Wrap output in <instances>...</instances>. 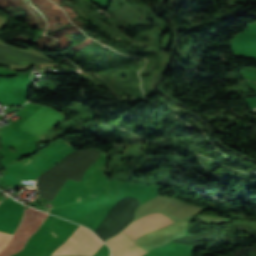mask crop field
Wrapping results in <instances>:
<instances>
[{"instance_id":"obj_1","label":"crop field","mask_w":256,"mask_h":256,"mask_svg":"<svg viewBox=\"0 0 256 256\" xmlns=\"http://www.w3.org/2000/svg\"><path fill=\"white\" fill-rule=\"evenodd\" d=\"M175 223L160 213H152L134 221L119 235L109 239L106 243L112 250V256H141L148 252L134 239Z\"/></svg>"},{"instance_id":"obj_2","label":"crop field","mask_w":256,"mask_h":256,"mask_svg":"<svg viewBox=\"0 0 256 256\" xmlns=\"http://www.w3.org/2000/svg\"><path fill=\"white\" fill-rule=\"evenodd\" d=\"M104 243L88 229L79 226L73 235L52 254L92 256Z\"/></svg>"},{"instance_id":"obj_3","label":"crop field","mask_w":256,"mask_h":256,"mask_svg":"<svg viewBox=\"0 0 256 256\" xmlns=\"http://www.w3.org/2000/svg\"><path fill=\"white\" fill-rule=\"evenodd\" d=\"M46 216L47 213L40 212L29 207L25 211L23 221L12 242L0 253V256H11L23 250L26 241L33 232L43 224Z\"/></svg>"},{"instance_id":"obj_4","label":"crop field","mask_w":256,"mask_h":256,"mask_svg":"<svg viewBox=\"0 0 256 256\" xmlns=\"http://www.w3.org/2000/svg\"><path fill=\"white\" fill-rule=\"evenodd\" d=\"M63 116L57 111L43 106L18 127L40 138L47 129Z\"/></svg>"},{"instance_id":"obj_5","label":"crop field","mask_w":256,"mask_h":256,"mask_svg":"<svg viewBox=\"0 0 256 256\" xmlns=\"http://www.w3.org/2000/svg\"><path fill=\"white\" fill-rule=\"evenodd\" d=\"M11 237V234L0 232V251L7 246V244L10 242Z\"/></svg>"}]
</instances>
